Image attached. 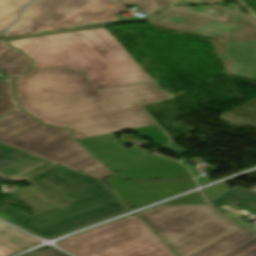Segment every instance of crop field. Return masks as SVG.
<instances>
[{
  "mask_svg": "<svg viewBox=\"0 0 256 256\" xmlns=\"http://www.w3.org/2000/svg\"><path fill=\"white\" fill-rule=\"evenodd\" d=\"M255 12H256V2L253 0H244Z\"/></svg>",
  "mask_w": 256,
  "mask_h": 256,
  "instance_id": "25",
  "label": "crop field"
},
{
  "mask_svg": "<svg viewBox=\"0 0 256 256\" xmlns=\"http://www.w3.org/2000/svg\"><path fill=\"white\" fill-rule=\"evenodd\" d=\"M127 11L112 0H36L3 37H17L90 24L120 21Z\"/></svg>",
  "mask_w": 256,
  "mask_h": 256,
  "instance_id": "8",
  "label": "crop field"
},
{
  "mask_svg": "<svg viewBox=\"0 0 256 256\" xmlns=\"http://www.w3.org/2000/svg\"><path fill=\"white\" fill-rule=\"evenodd\" d=\"M105 181L133 209L196 187L193 179L126 181L119 173Z\"/></svg>",
  "mask_w": 256,
  "mask_h": 256,
  "instance_id": "9",
  "label": "crop field"
},
{
  "mask_svg": "<svg viewBox=\"0 0 256 256\" xmlns=\"http://www.w3.org/2000/svg\"><path fill=\"white\" fill-rule=\"evenodd\" d=\"M196 203H206L200 192L191 194L189 196L171 201L169 203L163 205H171V204H196Z\"/></svg>",
  "mask_w": 256,
  "mask_h": 256,
  "instance_id": "21",
  "label": "crop field"
},
{
  "mask_svg": "<svg viewBox=\"0 0 256 256\" xmlns=\"http://www.w3.org/2000/svg\"><path fill=\"white\" fill-rule=\"evenodd\" d=\"M148 22L225 41L224 58L233 60L232 74L256 78L255 18L231 11L227 21H220L172 7Z\"/></svg>",
  "mask_w": 256,
  "mask_h": 256,
  "instance_id": "6",
  "label": "crop field"
},
{
  "mask_svg": "<svg viewBox=\"0 0 256 256\" xmlns=\"http://www.w3.org/2000/svg\"><path fill=\"white\" fill-rule=\"evenodd\" d=\"M133 131L139 134L143 133L149 138V140L161 146L170 142L169 138L162 132V130L157 125L133 129Z\"/></svg>",
  "mask_w": 256,
  "mask_h": 256,
  "instance_id": "19",
  "label": "crop field"
},
{
  "mask_svg": "<svg viewBox=\"0 0 256 256\" xmlns=\"http://www.w3.org/2000/svg\"><path fill=\"white\" fill-rule=\"evenodd\" d=\"M19 110L18 106L10 101L7 78L0 80V117Z\"/></svg>",
  "mask_w": 256,
  "mask_h": 256,
  "instance_id": "17",
  "label": "crop field"
},
{
  "mask_svg": "<svg viewBox=\"0 0 256 256\" xmlns=\"http://www.w3.org/2000/svg\"><path fill=\"white\" fill-rule=\"evenodd\" d=\"M26 181L71 204L32 219L0 202L1 218L43 238L130 211L102 180L60 164Z\"/></svg>",
  "mask_w": 256,
  "mask_h": 256,
  "instance_id": "3",
  "label": "crop field"
},
{
  "mask_svg": "<svg viewBox=\"0 0 256 256\" xmlns=\"http://www.w3.org/2000/svg\"><path fill=\"white\" fill-rule=\"evenodd\" d=\"M113 134L80 139L79 141L94 156L117 172L150 155V153H146L134 147H121L117 144Z\"/></svg>",
  "mask_w": 256,
  "mask_h": 256,
  "instance_id": "11",
  "label": "crop field"
},
{
  "mask_svg": "<svg viewBox=\"0 0 256 256\" xmlns=\"http://www.w3.org/2000/svg\"><path fill=\"white\" fill-rule=\"evenodd\" d=\"M177 9L189 11L197 14H202L206 16H211L219 19H224V13L227 10H230L228 8L222 7L220 5H214V6H201L198 8H192L188 6H178Z\"/></svg>",
  "mask_w": 256,
  "mask_h": 256,
  "instance_id": "16",
  "label": "crop field"
},
{
  "mask_svg": "<svg viewBox=\"0 0 256 256\" xmlns=\"http://www.w3.org/2000/svg\"><path fill=\"white\" fill-rule=\"evenodd\" d=\"M24 256H26V255H24Z\"/></svg>",
  "mask_w": 256,
  "mask_h": 256,
  "instance_id": "27",
  "label": "crop field"
},
{
  "mask_svg": "<svg viewBox=\"0 0 256 256\" xmlns=\"http://www.w3.org/2000/svg\"><path fill=\"white\" fill-rule=\"evenodd\" d=\"M124 6L138 4L149 16L161 7L169 4L167 0H117Z\"/></svg>",
  "mask_w": 256,
  "mask_h": 256,
  "instance_id": "18",
  "label": "crop field"
},
{
  "mask_svg": "<svg viewBox=\"0 0 256 256\" xmlns=\"http://www.w3.org/2000/svg\"><path fill=\"white\" fill-rule=\"evenodd\" d=\"M253 191H256V188H255V189H253Z\"/></svg>",
  "mask_w": 256,
  "mask_h": 256,
  "instance_id": "26",
  "label": "crop field"
},
{
  "mask_svg": "<svg viewBox=\"0 0 256 256\" xmlns=\"http://www.w3.org/2000/svg\"><path fill=\"white\" fill-rule=\"evenodd\" d=\"M173 3H181V2H190V1H197V2H216L218 0H171Z\"/></svg>",
  "mask_w": 256,
  "mask_h": 256,
  "instance_id": "24",
  "label": "crop field"
},
{
  "mask_svg": "<svg viewBox=\"0 0 256 256\" xmlns=\"http://www.w3.org/2000/svg\"><path fill=\"white\" fill-rule=\"evenodd\" d=\"M76 256H177L135 214L58 242Z\"/></svg>",
  "mask_w": 256,
  "mask_h": 256,
  "instance_id": "7",
  "label": "crop field"
},
{
  "mask_svg": "<svg viewBox=\"0 0 256 256\" xmlns=\"http://www.w3.org/2000/svg\"><path fill=\"white\" fill-rule=\"evenodd\" d=\"M0 142L99 179L114 174L93 159L72 132L41 125L21 110L0 118Z\"/></svg>",
  "mask_w": 256,
  "mask_h": 256,
  "instance_id": "5",
  "label": "crop field"
},
{
  "mask_svg": "<svg viewBox=\"0 0 256 256\" xmlns=\"http://www.w3.org/2000/svg\"><path fill=\"white\" fill-rule=\"evenodd\" d=\"M211 203L219 206L223 204H237L256 207V193L236 186Z\"/></svg>",
  "mask_w": 256,
  "mask_h": 256,
  "instance_id": "15",
  "label": "crop field"
},
{
  "mask_svg": "<svg viewBox=\"0 0 256 256\" xmlns=\"http://www.w3.org/2000/svg\"><path fill=\"white\" fill-rule=\"evenodd\" d=\"M14 253H16V252H14L10 249H7L5 247L0 246V256H10Z\"/></svg>",
  "mask_w": 256,
  "mask_h": 256,
  "instance_id": "23",
  "label": "crop field"
},
{
  "mask_svg": "<svg viewBox=\"0 0 256 256\" xmlns=\"http://www.w3.org/2000/svg\"><path fill=\"white\" fill-rule=\"evenodd\" d=\"M125 179L191 177L178 162L150 155L119 172Z\"/></svg>",
  "mask_w": 256,
  "mask_h": 256,
  "instance_id": "12",
  "label": "crop field"
},
{
  "mask_svg": "<svg viewBox=\"0 0 256 256\" xmlns=\"http://www.w3.org/2000/svg\"><path fill=\"white\" fill-rule=\"evenodd\" d=\"M33 66L83 71L95 90L152 81L105 27L9 41Z\"/></svg>",
  "mask_w": 256,
  "mask_h": 256,
  "instance_id": "2",
  "label": "crop field"
},
{
  "mask_svg": "<svg viewBox=\"0 0 256 256\" xmlns=\"http://www.w3.org/2000/svg\"><path fill=\"white\" fill-rule=\"evenodd\" d=\"M16 91L23 110L77 139L154 125L141 106L170 97L153 82L95 91L83 72L36 67Z\"/></svg>",
  "mask_w": 256,
  "mask_h": 256,
  "instance_id": "1",
  "label": "crop field"
},
{
  "mask_svg": "<svg viewBox=\"0 0 256 256\" xmlns=\"http://www.w3.org/2000/svg\"><path fill=\"white\" fill-rule=\"evenodd\" d=\"M38 243L39 240L0 221V245L19 252Z\"/></svg>",
  "mask_w": 256,
  "mask_h": 256,
  "instance_id": "14",
  "label": "crop field"
},
{
  "mask_svg": "<svg viewBox=\"0 0 256 256\" xmlns=\"http://www.w3.org/2000/svg\"><path fill=\"white\" fill-rule=\"evenodd\" d=\"M32 62L20 51L9 47L6 41L0 40V68L8 75L10 93L14 103L13 79L25 73Z\"/></svg>",
  "mask_w": 256,
  "mask_h": 256,
  "instance_id": "13",
  "label": "crop field"
},
{
  "mask_svg": "<svg viewBox=\"0 0 256 256\" xmlns=\"http://www.w3.org/2000/svg\"><path fill=\"white\" fill-rule=\"evenodd\" d=\"M29 0H0V20L24 6Z\"/></svg>",
  "mask_w": 256,
  "mask_h": 256,
  "instance_id": "20",
  "label": "crop field"
},
{
  "mask_svg": "<svg viewBox=\"0 0 256 256\" xmlns=\"http://www.w3.org/2000/svg\"><path fill=\"white\" fill-rule=\"evenodd\" d=\"M20 10L21 9L15 11L11 15L0 21V32L5 30L14 21L15 17L17 16Z\"/></svg>",
  "mask_w": 256,
  "mask_h": 256,
  "instance_id": "22",
  "label": "crop field"
},
{
  "mask_svg": "<svg viewBox=\"0 0 256 256\" xmlns=\"http://www.w3.org/2000/svg\"><path fill=\"white\" fill-rule=\"evenodd\" d=\"M139 215L180 256H256V232L210 204L157 206Z\"/></svg>",
  "mask_w": 256,
  "mask_h": 256,
  "instance_id": "4",
  "label": "crop field"
},
{
  "mask_svg": "<svg viewBox=\"0 0 256 256\" xmlns=\"http://www.w3.org/2000/svg\"><path fill=\"white\" fill-rule=\"evenodd\" d=\"M57 163L40 158L0 143V177L13 180H26Z\"/></svg>",
  "mask_w": 256,
  "mask_h": 256,
  "instance_id": "10",
  "label": "crop field"
}]
</instances>
